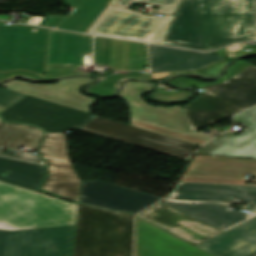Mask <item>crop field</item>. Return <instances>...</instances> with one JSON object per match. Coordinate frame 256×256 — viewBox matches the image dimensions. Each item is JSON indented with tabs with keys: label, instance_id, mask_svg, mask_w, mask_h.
<instances>
[{
	"label": "crop field",
	"instance_id": "8a807250",
	"mask_svg": "<svg viewBox=\"0 0 256 256\" xmlns=\"http://www.w3.org/2000/svg\"><path fill=\"white\" fill-rule=\"evenodd\" d=\"M0 114L4 121L39 126L47 132H65L76 127L187 160L197 147L141 128L30 96Z\"/></svg>",
	"mask_w": 256,
	"mask_h": 256
},
{
	"label": "crop field",
	"instance_id": "ac0d7876",
	"mask_svg": "<svg viewBox=\"0 0 256 256\" xmlns=\"http://www.w3.org/2000/svg\"><path fill=\"white\" fill-rule=\"evenodd\" d=\"M133 215L79 203L72 256H132Z\"/></svg>",
	"mask_w": 256,
	"mask_h": 256
},
{
	"label": "crop field",
	"instance_id": "34b2d1b8",
	"mask_svg": "<svg viewBox=\"0 0 256 256\" xmlns=\"http://www.w3.org/2000/svg\"><path fill=\"white\" fill-rule=\"evenodd\" d=\"M77 204L0 182V229L75 225Z\"/></svg>",
	"mask_w": 256,
	"mask_h": 256
},
{
	"label": "crop field",
	"instance_id": "412701ff",
	"mask_svg": "<svg viewBox=\"0 0 256 256\" xmlns=\"http://www.w3.org/2000/svg\"><path fill=\"white\" fill-rule=\"evenodd\" d=\"M205 50L256 39L249 0H193Z\"/></svg>",
	"mask_w": 256,
	"mask_h": 256
},
{
	"label": "crop field",
	"instance_id": "f4fd0767",
	"mask_svg": "<svg viewBox=\"0 0 256 256\" xmlns=\"http://www.w3.org/2000/svg\"><path fill=\"white\" fill-rule=\"evenodd\" d=\"M0 21V71L29 69L44 74L49 30Z\"/></svg>",
	"mask_w": 256,
	"mask_h": 256
},
{
	"label": "crop field",
	"instance_id": "dd49c442",
	"mask_svg": "<svg viewBox=\"0 0 256 256\" xmlns=\"http://www.w3.org/2000/svg\"><path fill=\"white\" fill-rule=\"evenodd\" d=\"M75 226L0 230V256H71Z\"/></svg>",
	"mask_w": 256,
	"mask_h": 256
},
{
	"label": "crop field",
	"instance_id": "e52e79f7",
	"mask_svg": "<svg viewBox=\"0 0 256 256\" xmlns=\"http://www.w3.org/2000/svg\"><path fill=\"white\" fill-rule=\"evenodd\" d=\"M110 7L89 34L159 44L173 16L163 19Z\"/></svg>",
	"mask_w": 256,
	"mask_h": 256
},
{
	"label": "crop field",
	"instance_id": "d8731c3e",
	"mask_svg": "<svg viewBox=\"0 0 256 256\" xmlns=\"http://www.w3.org/2000/svg\"><path fill=\"white\" fill-rule=\"evenodd\" d=\"M47 160L48 179L43 189L78 202L80 179L68 161L63 134H47L40 150Z\"/></svg>",
	"mask_w": 256,
	"mask_h": 256
},
{
	"label": "crop field",
	"instance_id": "5a996713",
	"mask_svg": "<svg viewBox=\"0 0 256 256\" xmlns=\"http://www.w3.org/2000/svg\"><path fill=\"white\" fill-rule=\"evenodd\" d=\"M160 199L161 197L94 180L81 183L79 202L131 212L135 215Z\"/></svg>",
	"mask_w": 256,
	"mask_h": 256
},
{
	"label": "crop field",
	"instance_id": "3316defc",
	"mask_svg": "<svg viewBox=\"0 0 256 256\" xmlns=\"http://www.w3.org/2000/svg\"><path fill=\"white\" fill-rule=\"evenodd\" d=\"M138 217L196 246L223 233L162 203Z\"/></svg>",
	"mask_w": 256,
	"mask_h": 256
},
{
	"label": "crop field",
	"instance_id": "28ad6ade",
	"mask_svg": "<svg viewBox=\"0 0 256 256\" xmlns=\"http://www.w3.org/2000/svg\"><path fill=\"white\" fill-rule=\"evenodd\" d=\"M150 85L140 82L125 84L119 97L128 101L133 118L152 122L181 132H191L182 108L153 107L141 97L149 91Z\"/></svg>",
	"mask_w": 256,
	"mask_h": 256
},
{
	"label": "crop field",
	"instance_id": "d1516ede",
	"mask_svg": "<svg viewBox=\"0 0 256 256\" xmlns=\"http://www.w3.org/2000/svg\"><path fill=\"white\" fill-rule=\"evenodd\" d=\"M168 198L248 203L245 209L256 211V187L253 186L179 182Z\"/></svg>",
	"mask_w": 256,
	"mask_h": 256
},
{
	"label": "crop field",
	"instance_id": "22f410ed",
	"mask_svg": "<svg viewBox=\"0 0 256 256\" xmlns=\"http://www.w3.org/2000/svg\"><path fill=\"white\" fill-rule=\"evenodd\" d=\"M92 81L94 80L91 78H77L71 80H62L55 85H39L28 84L15 80L2 84V86L30 96L50 100L89 112V107L96 100V98L84 96L80 94L79 91L84 85Z\"/></svg>",
	"mask_w": 256,
	"mask_h": 256
},
{
	"label": "crop field",
	"instance_id": "cbeb9de0",
	"mask_svg": "<svg viewBox=\"0 0 256 256\" xmlns=\"http://www.w3.org/2000/svg\"><path fill=\"white\" fill-rule=\"evenodd\" d=\"M92 52V37L50 30L45 71H69L82 65V55Z\"/></svg>",
	"mask_w": 256,
	"mask_h": 256
},
{
	"label": "crop field",
	"instance_id": "5142ce71",
	"mask_svg": "<svg viewBox=\"0 0 256 256\" xmlns=\"http://www.w3.org/2000/svg\"><path fill=\"white\" fill-rule=\"evenodd\" d=\"M234 120L249 128L238 136L227 132L195 154L256 159V107L235 116Z\"/></svg>",
	"mask_w": 256,
	"mask_h": 256
},
{
	"label": "crop field",
	"instance_id": "d9b57169",
	"mask_svg": "<svg viewBox=\"0 0 256 256\" xmlns=\"http://www.w3.org/2000/svg\"><path fill=\"white\" fill-rule=\"evenodd\" d=\"M135 256H211L137 218Z\"/></svg>",
	"mask_w": 256,
	"mask_h": 256
},
{
	"label": "crop field",
	"instance_id": "733c2abd",
	"mask_svg": "<svg viewBox=\"0 0 256 256\" xmlns=\"http://www.w3.org/2000/svg\"><path fill=\"white\" fill-rule=\"evenodd\" d=\"M163 203L223 232L254 217L256 213L228 210L230 204L165 200Z\"/></svg>",
	"mask_w": 256,
	"mask_h": 256
},
{
	"label": "crop field",
	"instance_id": "4a817a6b",
	"mask_svg": "<svg viewBox=\"0 0 256 256\" xmlns=\"http://www.w3.org/2000/svg\"><path fill=\"white\" fill-rule=\"evenodd\" d=\"M202 90L206 92L183 108L192 132L245 109L206 88Z\"/></svg>",
	"mask_w": 256,
	"mask_h": 256
},
{
	"label": "crop field",
	"instance_id": "bc2a9ffb",
	"mask_svg": "<svg viewBox=\"0 0 256 256\" xmlns=\"http://www.w3.org/2000/svg\"><path fill=\"white\" fill-rule=\"evenodd\" d=\"M153 72L196 70L210 65L222 57L187 50L149 45Z\"/></svg>",
	"mask_w": 256,
	"mask_h": 256
},
{
	"label": "crop field",
	"instance_id": "214f88e0",
	"mask_svg": "<svg viewBox=\"0 0 256 256\" xmlns=\"http://www.w3.org/2000/svg\"><path fill=\"white\" fill-rule=\"evenodd\" d=\"M246 174L256 177V160L211 156H195L185 173L188 176L221 178H245Z\"/></svg>",
	"mask_w": 256,
	"mask_h": 256
},
{
	"label": "crop field",
	"instance_id": "92a150f3",
	"mask_svg": "<svg viewBox=\"0 0 256 256\" xmlns=\"http://www.w3.org/2000/svg\"><path fill=\"white\" fill-rule=\"evenodd\" d=\"M198 247L215 256H244L256 250V218Z\"/></svg>",
	"mask_w": 256,
	"mask_h": 256
},
{
	"label": "crop field",
	"instance_id": "dafd665d",
	"mask_svg": "<svg viewBox=\"0 0 256 256\" xmlns=\"http://www.w3.org/2000/svg\"><path fill=\"white\" fill-rule=\"evenodd\" d=\"M160 44L204 50L192 0H184Z\"/></svg>",
	"mask_w": 256,
	"mask_h": 256
},
{
	"label": "crop field",
	"instance_id": "00972430",
	"mask_svg": "<svg viewBox=\"0 0 256 256\" xmlns=\"http://www.w3.org/2000/svg\"><path fill=\"white\" fill-rule=\"evenodd\" d=\"M207 88L249 108L256 104V67L251 65L226 82Z\"/></svg>",
	"mask_w": 256,
	"mask_h": 256
},
{
	"label": "crop field",
	"instance_id": "a9b5d70f",
	"mask_svg": "<svg viewBox=\"0 0 256 256\" xmlns=\"http://www.w3.org/2000/svg\"><path fill=\"white\" fill-rule=\"evenodd\" d=\"M5 170L11 172L7 176H1ZM45 178V167L0 158V181L33 190L40 188Z\"/></svg>",
	"mask_w": 256,
	"mask_h": 256
},
{
	"label": "crop field",
	"instance_id": "4177f3b9",
	"mask_svg": "<svg viewBox=\"0 0 256 256\" xmlns=\"http://www.w3.org/2000/svg\"><path fill=\"white\" fill-rule=\"evenodd\" d=\"M44 132L33 126L3 123L0 119V146L18 149L20 145L37 148Z\"/></svg>",
	"mask_w": 256,
	"mask_h": 256
},
{
	"label": "crop field",
	"instance_id": "730fd06b",
	"mask_svg": "<svg viewBox=\"0 0 256 256\" xmlns=\"http://www.w3.org/2000/svg\"><path fill=\"white\" fill-rule=\"evenodd\" d=\"M130 124L134 125V126H137V127H141V128L150 130V131H153V132H156V133H160V134H163V135H166V136H169V137H173V138L183 140V141H186V142H189V143L200 145V146L203 145L204 143L208 142L209 140H211L213 138V136H212L213 134H219L220 133V131L212 130V131H210L209 134H191V135L181 134V133H178V132H175V131H171V130H168V129H165V128H161V127H158V126L147 124V123L137 121V120H134V119H131V118H130Z\"/></svg>",
	"mask_w": 256,
	"mask_h": 256
},
{
	"label": "crop field",
	"instance_id": "eef30255",
	"mask_svg": "<svg viewBox=\"0 0 256 256\" xmlns=\"http://www.w3.org/2000/svg\"><path fill=\"white\" fill-rule=\"evenodd\" d=\"M124 77H141L143 79L150 78V76L142 75L140 72H117L107 77L105 81L99 82L96 86L91 88L88 92L104 95V96H111L116 92L115 84L117 83V81Z\"/></svg>",
	"mask_w": 256,
	"mask_h": 256
},
{
	"label": "crop field",
	"instance_id": "ae1a2a85",
	"mask_svg": "<svg viewBox=\"0 0 256 256\" xmlns=\"http://www.w3.org/2000/svg\"><path fill=\"white\" fill-rule=\"evenodd\" d=\"M250 64L240 61L237 64L233 65L232 67L229 68L227 75L218 83H213V84H219L227 80L228 78L234 76L238 72L242 71L246 67H248ZM171 84L178 86V87H187V86H194L196 88L202 89V87H205L206 85H212V84H202L198 83L192 79H189L187 77H182V78H177L173 81H171Z\"/></svg>",
	"mask_w": 256,
	"mask_h": 256
},
{
	"label": "crop field",
	"instance_id": "d3111659",
	"mask_svg": "<svg viewBox=\"0 0 256 256\" xmlns=\"http://www.w3.org/2000/svg\"><path fill=\"white\" fill-rule=\"evenodd\" d=\"M225 65V61L222 60V61H218L204 69H200V70H196V71H182V73H191V72H201L202 74L204 75H207V76H215L217 75L223 68V66ZM175 72H172V73H153V78L155 79H159V78H163L165 77L166 75H172L174 74Z\"/></svg>",
	"mask_w": 256,
	"mask_h": 256
},
{
	"label": "crop field",
	"instance_id": "750c4746",
	"mask_svg": "<svg viewBox=\"0 0 256 256\" xmlns=\"http://www.w3.org/2000/svg\"><path fill=\"white\" fill-rule=\"evenodd\" d=\"M26 96L8 89H0V105L8 108Z\"/></svg>",
	"mask_w": 256,
	"mask_h": 256
},
{
	"label": "crop field",
	"instance_id": "bd1437ed",
	"mask_svg": "<svg viewBox=\"0 0 256 256\" xmlns=\"http://www.w3.org/2000/svg\"><path fill=\"white\" fill-rule=\"evenodd\" d=\"M17 76H23L33 80H43L44 78V75L29 70H12L8 72H0V81L14 78Z\"/></svg>",
	"mask_w": 256,
	"mask_h": 256
},
{
	"label": "crop field",
	"instance_id": "1d83c4d3",
	"mask_svg": "<svg viewBox=\"0 0 256 256\" xmlns=\"http://www.w3.org/2000/svg\"><path fill=\"white\" fill-rule=\"evenodd\" d=\"M143 2L161 6L157 13L173 14L180 0H144Z\"/></svg>",
	"mask_w": 256,
	"mask_h": 256
},
{
	"label": "crop field",
	"instance_id": "120bbe31",
	"mask_svg": "<svg viewBox=\"0 0 256 256\" xmlns=\"http://www.w3.org/2000/svg\"><path fill=\"white\" fill-rule=\"evenodd\" d=\"M4 149L0 148V157L21 160L29 163L45 166V162L39 158L36 154L20 152L17 157L1 153Z\"/></svg>",
	"mask_w": 256,
	"mask_h": 256
},
{
	"label": "crop field",
	"instance_id": "d32e631a",
	"mask_svg": "<svg viewBox=\"0 0 256 256\" xmlns=\"http://www.w3.org/2000/svg\"><path fill=\"white\" fill-rule=\"evenodd\" d=\"M181 181L209 182V183H228V184H245L244 180L210 179V178H189V177H182ZM245 185H248V184H245Z\"/></svg>",
	"mask_w": 256,
	"mask_h": 256
},
{
	"label": "crop field",
	"instance_id": "5866460e",
	"mask_svg": "<svg viewBox=\"0 0 256 256\" xmlns=\"http://www.w3.org/2000/svg\"><path fill=\"white\" fill-rule=\"evenodd\" d=\"M80 71H70V72H45V78L47 79H53V78H59V77H66L69 75H79Z\"/></svg>",
	"mask_w": 256,
	"mask_h": 256
},
{
	"label": "crop field",
	"instance_id": "028f5c9d",
	"mask_svg": "<svg viewBox=\"0 0 256 256\" xmlns=\"http://www.w3.org/2000/svg\"><path fill=\"white\" fill-rule=\"evenodd\" d=\"M134 1L142 2L143 0H114L110 5L128 8Z\"/></svg>",
	"mask_w": 256,
	"mask_h": 256
},
{
	"label": "crop field",
	"instance_id": "e1f06a70",
	"mask_svg": "<svg viewBox=\"0 0 256 256\" xmlns=\"http://www.w3.org/2000/svg\"><path fill=\"white\" fill-rule=\"evenodd\" d=\"M132 69L143 68L142 59L131 60Z\"/></svg>",
	"mask_w": 256,
	"mask_h": 256
},
{
	"label": "crop field",
	"instance_id": "0bd39190",
	"mask_svg": "<svg viewBox=\"0 0 256 256\" xmlns=\"http://www.w3.org/2000/svg\"><path fill=\"white\" fill-rule=\"evenodd\" d=\"M250 4H251L255 24H256V0H250Z\"/></svg>",
	"mask_w": 256,
	"mask_h": 256
},
{
	"label": "crop field",
	"instance_id": "b80d0937",
	"mask_svg": "<svg viewBox=\"0 0 256 256\" xmlns=\"http://www.w3.org/2000/svg\"><path fill=\"white\" fill-rule=\"evenodd\" d=\"M214 53H215V54H218V55H220V56H222V57H226V56H229V55H230L228 52L224 51L223 49H220V50H218V51H216V52H214Z\"/></svg>",
	"mask_w": 256,
	"mask_h": 256
},
{
	"label": "crop field",
	"instance_id": "c035e120",
	"mask_svg": "<svg viewBox=\"0 0 256 256\" xmlns=\"http://www.w3.org/2000/svg\"><path fill=\"white\" fill-rule=\"evenodd\" d=\"M177 74H181V72H179V73H176V74H174V75H177ZM192 74H200V73H192ZM173 75V76H174ZM200 75H202V74H200ZM203 76V75H202ZM170 77H172V76H167V77H165L166 79H168V78H170ZM205 77H207V76H205Z\"/></svg>",
	"mask_w": 256,
	"mask_h": 256
},
{
	"label": "crop field",
	"instance_id": "c21b1889",
	"mask_svg": "<svg viewBox=\"0 0 256 256\" xmlns=\"http://www.w3.org/2000/svg\"><path fill=\"white\" fill-rule=\"evenodd\" d=\"M124 79H130V78H124ZM124 79H122V80H124ZM137 79H141V78H137ZM122 80H120L116 85H117V88H118V85H119V83L122 81ZM143 80V79H142ZM117 90V89H116Z\"/></svg>",
	"mask_w": 256,
	"mask_h": 256
},
{
	"label": "crop field",
	"instance_id": "03da06ac",
	"mask_svg": "<svg viewBox=\"0 0 256 256\" xmlns=\"http://www.w3.org/2000/svg\"><path fill=\"white\" fill-rule=\"evenodd\" d=\"M6 108L0 106V112L4 111Z\"/></svg>",
	"mask_w": 256,
	"mask_h": 256
},
{
	"label": "crop field",
	"instance_id": "b54c1fbb",
	"mask_svg": "<svg viewBox=\"0 0 256 256\" xmlns=\"http://www.w3.org/2000/svg\"><path fill=\"white\" fill-rule=\"evenodd\" d=\"M248 256H256V252H254V253H252V254H250Z\"/></svg>",
	"mask_w": 256,
	"mask_h": 256
}]
</instances>
